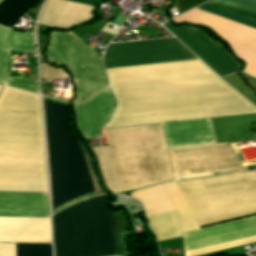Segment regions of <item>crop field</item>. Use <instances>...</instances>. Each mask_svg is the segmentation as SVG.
<instances>
[{
  "label": "crop field",
  "instance_id": "crop-field-16",
  "mask_svg": "<svg viewBox=\"0 0 256 256\" xmlns=\"http://www.w3.org/2000/svg\"><path fill=\"white\" fill-rule=\"evenodd\" d=\"M2 0H0L1 2ZM39 0H4L0 3V25L12 26Z\"/></svg>",
  "mask_w": 256,
  "mask_h": 256
},
{
  "label": "crop field",
  "instance_id": "crop-field-17",
  "mask_svg": "<svg viewBox=\"0 0 256 256\" xmlns=\"http://www.w3.org/2000/svg\"><path fill=\"white\" fill-rule=\"evenodd\" d=\"M6 85L39 93L38 81L22 76L9 77Z\"/></svg>",
  "mask_w": 256,
  "mask_h": 256
},
{
  "label": "crop field",
  "instance_id": "crop-field-8",
  "mask_svg": "<svg viewBox=\"0 0 256 256\" xmlns=\"http://www.w3.org/2000/svg\"><path fill=\"white\" fill-rule=\"evenodd\" d=\"M47 56L52 63L66 66L74 75L77 87L74 102L83 101L92 92L106 87L102 58L71 32H51Z\"/></svg>",
  "mask_w": 256,
  "mask_h": 256
},
{
  "label": "crop field",
  "instance_id": "crop-field-7",
  "mask_svg": "<svg viewBox=\"0 0 256 256\" xmlns=\"http://www.w3.org/2000/svg\"><path fill=\"white\" fill-rule=\"evenodd\" d=\"M207 5L256 22V0H211ZM196 9L256 30V23L207 5ZM193 9L175 19L176 23L189 22L209 27L235 50L246 62L244 72L256 77V31Z\"/></svg>",
  "mask_w": 256,
  "mask_h": 256
},
{
  "label": "crop field",
  "instance_id": "crop-field-10",
  "mask_svg": "<svg viewBox=\"0 0 256 256\" xmlns=\"http://www.w3.org/2000/svg\"><path fill=\"white\" fill-rule=\"evenodd\" d=\"M197 59L175 38L109 44L105 69Z\"/></svg>",
  "mask_w": 256,
  "mask_h": 256
},
{
  "label": "crop field",
  "instance_id": "crop-field-3",
  "mask_svg": "<svg viewBox=\"0 0 256 256\" xmlns=\"http://www.w3.org/2000/svg\"><path fill=\"white\" fill-rule=\"evenodd\" d=\"M0 190L47 191L39 95L7 86L0 95Z\"/></svg>",
  "mask_w": 256,
  "mask_h": 256
},
{
  "label": "crop field",
  "instance_id": "crop-field-4",
  "mask_svg": "<svg viewBox=\"0 0 256 256\" xmlns=\"http://www.w3.org/2000/svg\"><path fill=\"white\" fill-rule=\"evenodd\" d=\"M53 209L94 192L66 104L44 99Z\"/></svg>",
  "mask_w": 256,
  "mask_h": 256
},
{
  "label": "crop field",
  "instance_id": "crop-field-11",
  "mask_svg": "<svg viewBox=\"0 0 256 256\" xmlns=\"http://www.w3.org/2000/svg\"><path fill=\"white\" fill-rule=\"evenodd\" d=\"M256 235V216L183 233L184 251ZM256 241V236L190 250L184 256H194Z\"/></svg>",
  "mask_w": 256,
  "mask_h": 256
},
{
  "label": "crop field",
  "instance_id": "crop-field-13",
  "mask_svg": "<svg viewBox=\"0 0 256 256\" xmlns=\"http://www.w3.org/2000/svg\"><path fill=\"white\" fill-rule=\"evenodd\" d=\"M113 105L109 89L94 93L83 103L74 104L78 127L85 139L99 137V131L111 115Z\"/></svg>",
  "mask_w": 256,
  "mask_h": 256
},
{
  "label": "crop field",
  "instance_id": "crop-field-12",
  "mask_svg": "<svg viewBox=\"0 0 256 256\" xmlns=\"http://www.w3.org/2000/svg\"><path fill=\"white\" fill-rule=\"evenodd\" d=\"M163 25L175 36H177L184 44H186L203 62H205L218 75L227 73L232 70H236L237 64L239 68V63L233 58H231L225 51V49L217 43L227 53V55L231 59H233L237 64L233 60H231L226 55V53L217 44H215L216 42L213 43L214 41L204 33L213 42L210 41L204 34L201 33L202 31L199 32L200 30L197 31L198 29L193 30L189 28L178 27V29H176L169 22ZM233 72L236 71H232L229 73Z\"/></svg>",
  "mask_w": 256,
  "mask_h": 256
},
{
  "label": "crop field",
  "instance_id": "crop-field-20",
  "mask_svg": "<svg viewBox=\"0 0 256 256\" xmlns=\"http://www.w3.org/2000/svg\"><path fill=\"white\" fill-rule=\"evenodd\" d=\"M2 86H0V89H1Z\"/></svg>",
  "mask_w": 256,
  "mask_h": 256
},
{
  "label": "crop field",
  "instance_id": "crop-field-2",
  "mask_svg": "<svg viewBox=\"0 0 256 256\" xmlns=\"http://www.w3.org/2000/svg\"><path fill=\"white\" fill-rule=\"evenodd\" d=\"M167 148L216 143L211 119L163 124ZM162 124L105 130L92 147L110 192L173 180Z\"/></svg>",
  "mask_w": 256,
  "mask_h": 256
},
{
  "label": "crop field",
  "instance_id": "crop-field-15",
  "mask_svg": "<svg viewBox=\"0 0 256 256\" xmlns=\"http://www.w3.org/2000/svg\"><path fill=\"white\" fill-rule=\"evenodd\" d=\"M10 50L34 53L33 33L14 32L0 26V82L5 79Z\"/></svg>",
  "mask_w": 256,
  "mask_h": 256
},
{
  "label": "crop field",
  "instance_id": "crop-field-6",
  "mask_svg": "<svg viewBox=\"0 0 256 256\" xmlns=\"http://www.w3.org/2000/svg\"><path fill=\"white\" fill-rule=\"evenodd\" d=\"M47 193L0 192V217L49 218ZM0 218V242L50 243L49 219ZM0 256L14 244L0 243ZM15 256H51L50 244H15Z\"/></svg>",
  "mask_w": 256,
  "mask_h": 256
},
{
  "label": "crop field",
  "instance_id": "crop-field-5",
  "mask_svg": "<svg viewBox=\"0 0 256 256\" xmlns=\"http://www.w3.org/2000/svg\"><path fill=\"white\" fill-rule=\"evenodd\" d=\"M109 196L83 200L70 207L72 256L115 254L111 229L115 221L105 204ZM55 256H71L69 207L53 215Z\"/></svg>",
  "mask_w": 256,
  "mask_h": 256
},
{
  "label": "crop field",
  "instance_id": "crop-field-1",
  "mask_svg": "<svg viewBox=\"0 0 256 256\" xmlns=\"http://www.w3.org/2000/svg\"><path fill=\"white\" fill-rule=\"evenodd\" d=\"M106 72L117 108L104 128L256 112L199 60Z\"/></svg>",
  "mask_w": 256,
  "mask_h": 256
},
{
  "label": "crop field",
  "instance_id": "crop-field-14",
  "mask_svg": "<svg viewBox=\"0 0 256 256\" xmlns=\"http://www.w3.org/2000/svg\"><path fill=\"white\" fill-rule=\"evenodd\" d=\"M91 9V6L65 0H47L38 22L53 27L70 28L92 18Z\"/></svg>",
  "mask_w": 256,
  "mask_h": 256
},
{
  "label": "crop field",
  "instance_id": "crop-field-9",
  "mask_svg": "<svg viewBox=\"0 0 256 256\" xmlns=\"http://www.w3.org/2000/svg\"><path fill=\"white\" fill-rule=\"evenodd\" d=\"M145 207L146 215L187 207L174 182L159 184L129 195ZM157 240L181 236V233L198 229L188 207L146 216Z\"/></svg>",
  "mask_w": 256,
  "mask_h": 256
},
{
  "label": "crop field",
  "instance_id": "crop-field-19",
  "mask_svg": "<svg viewBox=\"0 0 256 256\" xmlns=\"http://www.w3.org/2000/svg\"><path fill=\"white\" fill-rule=\"evenodd\" d=\"M206 0H177L179 14Z\"/></svg>",
  "mask_w": 256,
  "mask_h": 256
},
{
  "label": "crop field",
  "instance_id": "crop-field-18",
  "mask_svg": "<svg viewBox=\"0 0 256 256\" xmlns=\"http://www.w3.org/2000/svg\"><path fill=\"white\" fill-rule=\"evenodd\" d=\"M42 77L62 78L65 73L61 69H55L47 66L45 63L40 64Z\"/></svg>",
  "mask_w": 256,
  "mask_h": 256
}]
</instances>
